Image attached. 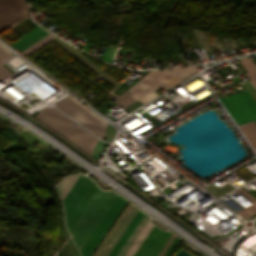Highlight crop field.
I'll list each match as a JSON object with an SVG mask.
<instances>
[{
	"label": "crop field",
	"mask_w": 256,
	"mask_h": 256,
	"mask_svg": "<svg viewBox=\"0 0 256 256\" xmlns=\"http://www.w3.org/2000/svg\"><path fill=\"white\" fill-rule=\"evenodd\" d=\"M196 70V66H193L160 72H149L115 102L122 107L137 99L145 103L159 95L154 90L160 87L167 90L191 76ZM127 92L130 94L128 95Z\"/></svg>",
	"instance_id": "8a807250"
},
{
	"label": "crop field",
	"mask_w": 256,
	"mask_h": 256,
	"mask_svg": "<svg viewBox=\"0 0 256 256\" xmlns=\"http://www.w3.org/2000/svg\"><path fill=\"white\" fill-rule=\"evenodd\" d=\"M116 197L117 194L113 191L106 192L98 189L72 226L69 232L72 235L79 252Z\"/></svg>",
	"instance_id": "ac0d7876"
},
{
	"label": "crop field",
	"mask_w": 256,
	"mask_h": 256,
	"mask_svg": "<svg viewBox=\"0 0 256 256\" xmlns=\"http://www.w3.org/2000/svg\"><path fill=\"white\" fill-rule=\"evenodd\" d=\"M35 117L57 130L78 147L82 148L88 153H91L97 138L72 122L57 110L48 107L39 111Z\"/></svg>",
	"instance_id": "34b2d1b8"
},
{
	"label": "crop field",
	"mask_w": 256,
	"mask_h": 256,
	"mask_svg": "<svg viewBox=\"0 0 256 256\" xmlns=\"http://www.w3.org/2000/svg\"><path fill=\"white\" fill-rule=\"evenodd\" d=\"M96 190L97 187L93 181L82 175L79 176L63 201L68 231Z\"/></svg>",
	"instance_id": "412701ff"
},
{
	"label": "crop field",
	"mask_w": 256,
	"mask_h": 256,
	"mask_svg": "<svg viewBox=\"0 0 256 256\" xmlns=\"http://www.w3.org/2000/svg\"><path fill=\"white\" fill-rule=\"evenodd\" d=\"M55 105L100 139H103L108 123L77 101L74 97L70 95L56 102Z\"/></svg>",
	"instance_id": "f4fd0767"
},
{
	"label": "crop field",
	"mask_w": 256,
	"mask_h": 256,
	"mask_svg": "<svg viewBox=\"0 0 256 256\" xmlns=\"http://www.w3.org/2000/svg\"><path fill=\"white\" fill-rule=\"evenodd\" d=\"M220 101L237 124L256 119V101L248 90L220 98Z\"/></svg>",
	"instance_id": "dd49c442"
},
{
	"label": "crop field",
	"mask_w": 256,
	"mask_h": 256,
	"mask_svg": "<svg viewBox=\"0 0 256 256\" xmlns=\"http://www.w3.org/2000/svg\"><path fill=\"white\" fill-rule=\"evenodd\" d=\"M128 201L118 195L100 224L97 226L83 249L81 250L82 256H91L97 245L100 243L106 232L109 230L113 222L116 220L122 209Z\"/></svg>",
	"instance_id": "e52e79f7"
},
{
	"label": "crop field",
	"mask_w": 256,
	"mask_h": 256,
	"mask_svg": "<svg viewBox=\"0 0 256 256\" xmlns=\"http://www.w3.org/2000/svg\"><path fill=\"white\" fill-rule=\"evenodd\" d=\"M137 208L129 203L125 211L122 213L110 233L107 235L94 256H107L114 244L117 242L135 213Z\"/></svg>",
	"instance_id": "d8731c3e"
},
{
	"label": "crop field",
	"mask_w": 256,
	"mask_h": 256,
	"mask_svg": "<svg viewBox=\"0 0 256 256\" xmlns=\"http://www.w3.org/2000/svg\"><path fill=\"white\" fill-rule=\"evenodd\" d=\"M26 15L28 6L25 0H0V31Z\"/></svg>",
	"instance_id": "5a996713"
},
{
	"label": "crop field",
	"mask_w": 256,
	"mask_h": 256,
	"mask_svg": "<svg viewBox=\"0 0 256 256\" xmlns=\"http://www.w3.org/2000/svg\"><path fill=\"white\" fill-rule=\"evenodd\" d=\"M171 234L168 231L163 232L154 225L134 256H157Z\"/></svg>",
	"instance_id": "3316defc"
},
{
	"label": "crop field",
	"mask_w": 256,
	"mask_h": 256,
	"mask_svg": "<svg viewBox=\"0 0 256 256\" xmlns=\"http://www.w3.org/2000/svg\"><path fill=\"white\" fill-rule=\"evenodd\" d=\"M145 214L138 212L108 256H116Z\"/></svg>",
	"instance_id": "28ad6ade"
},
{
	"label": "crop field",
	"mask_w": 256,
	"mask_h": 256,
	"mask_svg": "<svg viewBox=\"0 0 256 256\" xmlns=\"http://www.w3.org/2000/svg\"><path fill=\"white\" fill-rule=\"evenodd\" d=\"M79 175L80 174L65 176L64 179L62 180V182L60 184H58L57 186H55L54 189L58 192L62 201L65 198V196L67 195V193L69 192L70 188L72 187V185L74 184V182L76 181V179L78 178Z\"/></svg>",
	"instance_id": "d1516ede"
},
{
	"label": "crop field",
	"mask_w": 256,
	"mask_h": 256,
	"mask_svg": "<svg viewBox=\"0 0 256 256\" xmlns=\"http://www.w3.org/2000/svg\"><path fill=\"white\" fill-rule=\"evenodd\" d=\"M47 34L49 33L40 28L14 48L21 52L33 43L37 42L38 40L46 36Z\"/></svg>",
	"instance_id": "22f410ed"
},
{
	"label": "crop field",
	"mask_w": 256,
	"mask_h": 256,
	"mask_svg": "<svg viewBox=\"0 0 256 256\" xmlns=\"http://www.w3.org/2000/svg\"><path fill=\"white\" fill-rule=\"evenodd\" d=\"M144 217V216H143ZM148 221V216L145 215V217L142 219V221L140 222V224L138 225V227L135 229V231L133 232V234L130 236V238L128 239V241L126 242V244L123 246V248L121 249V251L118 253L117 256H124L125 253L128 251V249L130 248V246L132 245V243L134 242V240L136 239V237L138 236V234L140 233V231L143 229V227L145 226V224Z\"/></svg>",
	"instance_id": "cbeb9de0"
},
{
	"label": "crop field",
	"mask_w": 256,
	"mask_h": 256,
	"mask_svg": "<svg viewBox=\"0 0 256 256\" xmlns=\"http://www.w3.org/2000/svg\"><path fill=\"white\" fill-rule=\"evenodd\" d=\"M239 62L242 64V66L247 70V72L250 74L248 75L249 79L251 80V84L256 89V65L254 62L249 58H243L239 59Z\"/></svg>",
	"instance_id": "5142ce71"
},
{
	"label": "crop field",
	"mask_w": 256,
	"mask_h": 256,
	"mask_svg": "<svg viewBox=\"0 0 256 256\" xmlns=\"http://www.w3.org/2000/svg\"><path fill=\"white\" fill-rule=\"evenodd\" d=\"M153 225L154 224H152L148 221V223L146 224V226L144 227L142 232L139 234V236L137 237V239L135 240V242L133 243V245L131 246V248L129 249V251L127 252V254L125 256H133L134 255V253L136 252V250L138 249V247L140 246V244L142 243V241L144 240L146 235L149 233V231L151 230Z\"/></svg>",
	"instance_id": "d9b57169"
},
{
	"label": "crop field",
	"mask_w": 256,
	"mask_h": 256,
	"mask_svg": "<svg viewBox=\"0 0 256 256\" xmlns=\"http://www.w3.org/2000/svg\"><path fill=\"white\" fill-rule=\"evenodd\" d=\"M256 124V123H255ZM254 122L239 126L248 140L256 149V125Z\"/></svg>",
	"instance_id": "733c2abd"
},
{
	"label": "crop field",
	"mask_w": 256,
	"mask_h": 256,
	"mask_svg": "<svg viewBox=\"0 0 256 256\" xmlns=\"http://www.w3.org/2000/svg\"><path fill=\"white\" fill-rule=\"evenodd\" d=\"M237 190L240 191L242 194H244L246 197H248L250 200H252L254 202L252 205H250V206L244 208L243 210L237 212V213L241 214L242 216L248 218L256 212V199L253 196H251L247 191H245L242 187H240Z\"/></svg>",
	"instance_id": "4a817a6b"
},
{
	"label": "crop field",
	"mask_w": 256,
	"mask_h": 256,
	"mask_svg": "<svg viewBox=\"0 0 256 256\" xmlns=\"http://www.w3.org/2000/svg\"><path fill=\"white\" fill-rule=\"evenodd\" d=\"M10 56H12V53L0 44V81L8 75L12 74L1 66L2 64H4L2 61Z\"/></svg>",
	"instance_id": "bc2a9ffb"
},
{
	"label": "crop field",
	"mask_w": 256,
	"mask_h": 256,
	"mask_svg": "<svg viewBox=\"0 0 256 256\" xmlns=\"http://www.w3.org/2000/svg\"><path fill=\"white\" fill-rule=\"evenodd\" d=\"M54 36L52 35H47L46 37H44L43 39H41L40 41H38L37 43L33 44L32 46H30L29 48H27L26 50H24L23 52H21L23 55H28L31 52H33L34 50H36L37 48H39L40 46H42L44 43H46L47 41H49L50 39H52Z\"/></svg>",
	"instance_id": "214f88e0"
},
{
	"label": "crop field",
	"mask_w": 256,
	"mask_h": 256,
	"mask_svg": "<svg viewBox=\"0 0 256 256\" xmlns=\"http://www.w3.org/2000/svg\"><path fill=\"white\" fill-rule=\"evenodd\" d=\"M115 49H116V47L108 45L104 54H103V56H102V59L111 63L112 59H113Z\"/></svg>",
	"instance_id": "92a150f3"
},
{
	"label": "crop field",
	"mask_w": 256,
	"mask_h": 256,
	"mask_svg": "<svg viewBox=\"0 0 256 256\" xmlns=\"http://www.w3.org/2000/svg\"><path fill=\"white\" fill-rule=\"evenodd\" d=\"M105 146V143H103L102 141L100 140H97L96 144H95V147L91 153V155H93L95 158H98L99 155L101 154L103 148Z\"/></svg>",
	"instance_id": "dafd665d"
},
{
	"label": "crop field",
	"mask_w": 256,
	"mask_h": 256,
	"mask_svg": "<svg viewBox=\"0 0 256 256\" xmlns=\"http://www.w3.org/2000/svg\"><path fill=\"white\" fill-rule=\"evenodd\" d=\"M180 240H181L180 238L176 237V239L171 244V246L169 247V249L167 250L164 256H170L173 250L175 249V247L177 246V244L180 242Z\"/></svg>",
	"instance_id": "00972430"
},
{
	"label": "crop field",
	"mask_w": 256,
	"mask_h": 256,
	"mask_svg": "<svg viewBox=\"0 0 256 256\" xmlns=\"http://www.w3.org/2000/svg\"><path fill=\"white\" fill-rule=\"evenodd\" d=\"M38 28H40L39 26L36 27L35 29H33L32 31H30L29 33H27L26 35L22 36L21 38H19L18 40H16L15 42H13L12 45L13 47L16 46L18 43H20L22 40H24L26 37H28L30 34H32L34 31H36Z\"/></svg>",
	"instance_id": "a9b5d70f"
},
{
	"label": "crop field",
	"mask_w": 256,
	"mask_h": 256,
	"mask_svg": "<svg viewBox=\"0 0 256 256\" xmlns=\"http://www.w3.org/2000/svg\"><path fill=\"white\" fill-rule=\"evenodd\" d=\"M175 238V236L172 234V236L170 237V239L167 241V243L165 244V246L163 247V249L160 251V253L158 254V256H162L164 254V252L166 251V249L169 247V245L171 244V242L173 241V239Z\"/></svg>",
	"instance_id": "4177f3b9"
},
{
	"label": "crop field",
	"mask_w": 256,
	"mask_h": 256,
	"mask_svg": "<svg viewBox=\"0 0 256 256\" xmlns=\"http://www.w3.org/2000/svg\"><path fill=\"white\" fill-rule=\"evenodd\" d=\"M255 123H256V121H255Z\"/></svg>",
	"instance_id": "730fd06b"
}]
</instances>
